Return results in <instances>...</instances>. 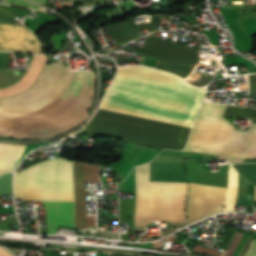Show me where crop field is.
Returning <instances> with one entry per match:
<instances>
[{
	"mask_svg": "<svg viewBox=\"0 0 256 256\" xmlns=\"http://www.w3.org/2000/svg\"><path fill=\"white\" fill-rule=\"evenodd\" d=\"M205 89L141 66L119 68L100 109L191 127ZM98 109L79 131L182 151L191 128Z\"/></svg>",
	"mask_w": 256,
	"mask_h": 256,
	"instance_id": "1",
	"label": "crop field"
},
{
	"mask_svg": "<svg viewBox=\"0 0 256 256\" xmlns=\"http://www.w3.org/2000/svg\"><path fill=\"white\" fill-rule=\"evenodd\" d=\"M70 73L56 62L45 66L31 89L0 100V118L44 105L60 91ZM92 90V73L72 71L61 91L47 104L0 119V135L40 138L69 129L85 118Z\"/></svg>",
	"mask_w": 256,
	"mask_h": 256,
	"instance_id": "2",
	"label": "crop field"
},
{
	"mask_svg": "<svg viewBox=\"0 0 256 256\" xmlns=\"http://www.w3.org/2000/svg\"><path fill=\"white\" fill-rule=\"evenodd\" d=\"M74 161L52 158L15 174L16 198L29 201L74 202ZM99 182L98 165L74 166L76 228L96 226V216H85L84 182Z\"/></svg>",
	"mask_w": 256,
	"mask_h": 256,
	"instance_id": "3",
	"label": "crop field"
},
{
	"mask_svg": "<svg viewBox=\"0 0 256 256\" xmlns=\"http://www.w3.org/2000/svg\"><path fill=\"white\" fill-rule=\"evenodd\" d=\"M226 105L204 102L184 151L227 159H256V125L249 132L235 133V126L222 117Z\"/></svg>",
	"mask_w": 256,
	"mask_h": 256,
	"instance_id": "4",
	"label": "crop field"
},
{
	"mask_svg": "<svg viewBox=\"0 0 256 256\" xmlns=\"http://www.w3.org/2000/svg\"><path fill=\"white\" fill-rule=\"evenodd\" d=\"M150 162L135 167V226L164 219L185 223L186 183L149 182Z\"/></svg>",
	"mask_w": 256,
	"mask_h": 256,
	"instance_id": "5",
	"label": "crop field"
},
{
	"mask_svg": "<svg viewBox=\"0 0 256 256\" xmlns=\"http://www.w3.org/2000/svg\"><path fill=\"white\" fill-rule=\"evenodd\" d=\"M142 56L155 59L152 67L186 78L199 61L198 49L146 36Z\"/></svg>",
	"mask_w": 256,
	"mask_h": 256,
	"instance_id": "6",
	"label": "crop field"
},
{
	"mask_svg": "<svg viewBox=\"0 0 256 256\" xmlns=\"http://www.w3.org/2000/svg\"><path fill=\"white\" fill-rule=\"evenodd\" d=\"M188 186L187 224L222 210L225 188L193 183Z\"/></svg>",
	"mask_w": 256,
	"mask_h": 256,
	"instance_id": "7",
	"label": "crop field"
},
{
	"mask_svg": "<svg viewBox=\"0 0 256 256\" xmlns=\"http://www.w3.org/2000/svg\"><path fill=\"white\" fill-rule=\"evenodd\" d=\"M36 35L21 25L0 24V50L41 54Z\"/></svg>",
	"mask_w": 256,
	"mask_h": 256,
	"instance_id": "8",
	"label": "crop field"
},
{
	"mask_svg": "<svg viewBox=\"0 0 256 256\" xmlns=\"http://www.w3.org/2000/svg\"><path fill=\"white\" fill-rule=\"evenodd\" d=\"M160 150L128 143L122 159L111 166L123 180L133 166L151 160Z\"/></svg>",
	"mask_w": 256,
	"mask_h": 256,
	"instance_id": "9",
	"label": "crop field"
},
{
	"mask_svg": "<svg viewBox=\"0 0 256 256\" xmlns=\"http://www.w3.org/2000/svg\"><path fill=\"white\" fill-rule=\"evenodd\" d=\"M48 56H36L33 58L26 75L16 84L0 89V98L15 95L31 87L42 71Z\"/></svg>",
	"mask_w": 256,
	"mask_h": 256,
	"instance_id": "10",
	"label": "crop field"
},
{
	"mask_svg": "<svg viewBox=\"0 0 256 256\" xmlns=\"http://www.w3.org/2000/svg\"><path fill=\"white\" fill-rule=\"evenodd\" d=\"M149 20L151 21V23L147 25L135 26L134 19L130 18L124 22L109 25L108 28L116 44H120L124 41L140 36L141 34L138 30L144 27L147 28L148 32H151V31H154V28L152 25L161 24L160 22L152 18H149Z\"/></svg>",
	"mask_w": 256,
	"mask_h": 256,
	"instance_id": "11",
	"label": "crop field"
},
{
	"mask_svg": "<svg viewBox=\"0 0 256 256\" xmlns=\"http://www.w3.org/2000/svg\"><path fill=\"white\" fill-rule=\"evenodd\" d=\"M26 145L0 143V174L14 171Z\"/></svg>",
	"mask_w": 256,
	"mask_h": 256,
	"instance_id": "12",
	"label": "crop field"
},
{
	"mask_svg": "<svg viewBox=\"0 0 256 256\" xmlns=\"http://www.w3.org/2000/svg\"><path fill=\"white\" fill-rule=\"evenodd\" d=\"M237 179L238 173L236 169L229 165L228 172V189L226 192V199L223 211H228L234 209L236 197H237Z\"/></svg>",
	"mask_w": 256,
	"mask_h": 256,
	"instance_id": "13",
	"label": "crop field"
},
{
	"mask_svg": "<svg viewBox=\"0 0 256 256\" xmlns=\"http://www.w3.org/2000/svg\"><path fill=\"white\" fill-rule=\"evenodd\" d=\"M225 112L230 115L256 119V109L228 105Z\"/></svg>",
	"mask_w": 256,
	"mask_h": 256,
	"instance_id": "14",
	"label": "crop field"
},
{
	"mask_svg": "<svg viewBox=\"0 0 256 256\" xmlns=\"http://www.w3.org/2000/svg\"><path fill=\"white\" fill-rule=\"evenodd\" d=\"M12 174L13 173H6L0 176V194H13Z\"/></svg>",
	"mask_w": 256,
	"mask_h": 256,
	"instance_id": "15",
	"label": "crop field"
},
{
	"mask_svg": "<svg viewBox=\"0 0 256 256\" xmlns=\"http://www.w3.org/2000/svg\"><path fill=\"white\" fill-rule=\"evenodd\" d=\"M123 191L124 192H133L135 191V180H134V169L127 176L123 182Z\"/></svg>",
	"mask_w": 256,
	"mask_h": 256,
	"instance_id": "16",
	"label": "crop field"
},
{
	"mask_svg": "<svg viewBox=\"0 0 256 256\" xmlns=\"http://www.w3.org/2000/svg\"><path fill=\"white\" fill-rule=\"evenodd\" d=\"M4 3L9 4V5L23 6V7H27V8H31V9L45 10L41 7H38L36 5L30 4V3L22 1V0H6Z\"/></svg>",
	"mask_w": 256,
	"mask_h": 256,
	"instance_id": "17",
	"label": "crop field"
},
{
	"mask_svg": "<svg viewBox=\"0 0 256 256\" xmlns=\"http://www.w3.org/2000/svg\"><path fill=\"white\" fill-rule=\"evenodd\" d=\"M242 235L243 234L236 233L235 237H234V239H233V241H232V243H231V245L229 247V249L227 250V252H226V250H223L221 256H223L225 252H226V254L224 256H231L232 252L237 247V245H238Z\"/></svg>",
	"mask_w": 256,
	"mask_h": 256,
	"instance_id": "18",
	"label": "crop field"
},
{
	"mask_svg": "<svg viewBox=\"0 0 256 256\" xmlns=\"http://www.w3.org/2000/svg\"><path fill=\"white\" fill-rule=\"evenodd\" d=\"M193 252H202L220 256L221 252L195 246Z\"/></svg>",
	"mask_w": 256,
	"mask_h": 256,
	"instance_id": "19",
	"label": "crop field"
},
{
	"mask_svg": "<svg viewBox=\"0 0 256 256\" xmlns=\"http://www.w3.org/2000/svg\"><path fill=\"white\" fill-rule=\"evenodd\" d=\"M245 237H246V235L244 234L242 239H241V241H240V243H239V245H238V247L233 252L232 256H236V254L238 253V251L240 250V248H241V246H242V244L244 242Z\"/></svg>",
	"mask_w": 256,
	"mask_h": 256,
	"instance_id": "20",
	"label": "crop field"
},
{
	"mask_svg": "<svg viewBox=\"0 0 256 256\" xmlns=\"http://www.w3.org/2000/svg\"><path fill=\"white\" fill-rule=\"evenodd\" d=\"M34 1H37V2H39V3H43V4H44V1H45V0H34Z\"/></svg>",
	"mask_w": 256,
	"mask_h": 256,
	"instance_id": "21",
	"label": "crop field"
},
{
	"mask_svg": "<svg viewBox=\"0 0 256 256\" xmlns=\"http://www.w3.org/2000/svg\"><path fill=\"white\" fill-rule=\"evenodd\" d=\"M255 200H256V197H255Z\"/></svg>",
	"mask_w": 256,
	"mask_h": 256,
	"instance_id": "22",
	"label": "crop field"
}]
</instances>
